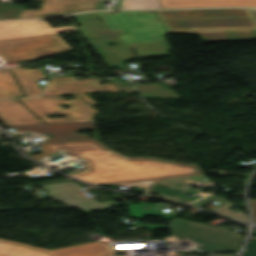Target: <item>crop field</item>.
Listing matches in <instances>:
<instances>
[{
    "mask_svg": "<svg viewBox=\"0 0 256 256\" xmlns=\"http://www.w3.org/2000/svg\"><path fill=\"white\" fill-rule=\"evenodd\" d=\"M40 147L43 153L30 157L38 160L59 150L81 156L87 169L69 176L95 185L202 174L196 164L181 165L151 158L127 159L96 140L41 144Z\"/></svg>",
    "mask_w": 256,
    "mask_h": 256,
    "instance_id": "crop-field-1",
    "label": "crop field"
},
{
    "mask_svg": "<svg viewBox=\"0 0 256 256\" xmlns=\"http://www.w3.org/2000/svg\"><path fill=\"white\" fill-rule=\"evenodd\" d=\"M156 12L169 33L198 34L202 42L256 39V19L251 9L156 10Z\"/></svg>",
    "mask_w": 256,
    "mask_h": 256,
    "instance_id": "crop-field-2",
    "label": "crop field"
},
{
    "mask_svg": "<svg viewBox=\"0 0 256 256\" xmlns=\"http://www.w3.org/2000/svg\"><path fill=\"white\" fill-rule=\"evenodd\" d=\"M79 29L88 39L108 35H125L166 31L155 10L87 12L74 15ZM102 18V21L96 19Z\"/></svg>",
    "mask_w": 256,
    "mask_h": 256,
    "instance_id": "crop-field-3",
    "label": "crop field"
},
{
    "mask_svg": "<svg viewBox=\"0 0 256 256\" xmlns=\"http://www.w3.org/2000/svg\"><path fill=\"white\" fill-rule=\"evenodd\" d=\"M173 236L164 240H189L192 247L207 252H237L243 234L227 229L181 220L177 217L168 222Z\"/></svg>",
    "mask_w": 256,
    "mask_h": 256,
    "instance_id": "crop-field-4",
    "label": "crop field"
},
{
    "mask_svg": "<svg viewBox=\"0 0 256 256\" xmlns=\"http://www.w3.org/2000/svg\"><path fill=\"white\" fill-rule=\"evenodd\" d=\"M166 33L168 32L125 36L114 35L91 39L89 41L95 46L110 66H118L121 70H124L125 68L119 61L136 58L128 47L136 45L139 54L166 52L167 49H169L163 36V34ZM111 41H115L117 45L109 47L107 42Z\"/></svg>",
    "mask_w": 256,
    "mask_h": 256,
    "instance_id": "crop-field-5",
    "label": "crop field"
},
{
    "mask_svg": "<svg viewBox=\"0 0 256 256\" xmlns=\"http://www.w3.org/2000/svg\"><path fill=\"white\" fill-rule=\"evenodd\" d=\"M73 100H65L61 96L32 97L20 99L37 117H43L45 122L92 120L99 114L90 105L96 104L85 94L74 95ZM67 103L70 108H63L59 104ZM45 114L65 115L67 118L48 119Z\"/></svg>",
    "mask_w": 256,
    "mask_h": 256,
    "instance_id": "crop-field-6",
    "label": "crop field"
},
{
    "mask_svg": "<svg viewBox=\"0 0 256 256\" xmlns=\"http://www.w3.org/2000/svg\"><path fill=\"white\" fill-rule=\"evenodd\" d=\"M39 49L58 51L72 48L57 34L0 41V56L7 62L36 58L38 56L33 52Z\"/></svg>",
    "mask_w": 256,
    "mask_h": 256,
    "instance_id": "crop-field-7",
    "label": "crop field"
},
{
    "mask_svg": "<svg viewBox=\"0 0 256 256\" xmlns=\"http://www.w3.org/2000/svg\"><path fill=\"white\" fill-rule=\"evenodd\" d=\"M13 70L26 96L36 95L42 91L38 88L37 79L45 76L41 75L40 69L26 70L23 67L10 68ZM23 93L10 74L8 69H0V98H12L22 96Z\"/></svg>",
    "mask_w": 256,
    "mask_h": 256,
    "instance_id": "crop-field-8",
    "label": "crop field"
},
{
    "mask_svg": "<svg viewBox=\"0 0 256 256\" xmlns=\"http://www.w3.org/2000/svg\"><path fill=\"white\" fill-rule=\"evenodd\" d=\"M7 127L15 128L18 131L25 130L34 131L38 133L50 132L53 135L54 139L44 140L45 143L96 139L89 138L87 136L80 135L77 133V131L95 129L93 121L58 122L34 125H15Z\"/></svg>",
    "mask_w": 256,
    "mask_h": 256,
    "instance_id": "crop-field-9",
    "label": "crop field"
},
{
    "mask_svg": "<svg viewBox=\"0 0 256 256\" xmlns=\"http://www.w3.org/2000/svg\"><path fill=\"white\" fill-rule=\"evenodd\" d=\"M45 186L47 191H49L51 198L62 201L64 203L74 202L81 206L86 212L117 206L112 201H94L93 197L95 196L93 194L88 191H81L80 186L75 184L73 181L49 184Z\"/></svg>",
    "mask_w": 256,
    "mask_h": 256,
    "instance_id": "crop-field-10",
    "label": "crop field"
},
{
    "mask_svg": "<svg viewBox=\"0 0 256 256\" xmlns=\"http://www.w3.org/2000/svg\"><path fill=\"white\" fill-rule=\"evenodd\" d=\"M100 79H74V77H53L43 96L66 95L88 93L108 90L109 92L119 91L112 84L99 85Z\"/></svg>",
    "mask_w": 256,
    "mask_h": 256,
    "instance_id": "crop-field-11",
    "label": "crop field"
},
{
    "mask_svg": "<svg viewBox=\"0 0 256 256\" xmlns=\"http://www.w3.org/2000/svg\"><path fill=\"white\" fill-rule=\"evenodd\" d=\"M76 30L73 25L52 28L43 20L0 22V39L60 33Z\"/></svg>",
    "mask_w": 256,
    "mask_h": 256,
    "instance_id": "crop-field-12",
    "label": "crop field"
},
{
    "mask_svg": "<svg viewBox=\"0 0 256 256\" xmlns=\"http://www.w3.org/2000/svg\"><path fill=\"white\" fill-rule=\"evenodd\" d=\"M0 119L5 125L43 123L17 100L0 101Z\"/></svg>",
    "mask_w": 256,
    "mask_h": 256,
    "instance_id": "crop-field-13",
    "label": "crop field"
},
{
    "mask_svg": "<svg viewBox=\"0 0 256 256\" xmlns=\"http://www.w3.org/2000/svg\"><path fill=\"white\" fill-rule=\"evenodd\" d=\"M112 249V248H111ZM102 241L55 248L49 250L52 256H113L114 252Z\"/></svg>",
    "mask_w": 256,
    "mask_h": 256,
    "instance_id": "crop-field-14",
    "label": "crop field"
},
{
    "mask_svg": "<svg viewBox=\"0 0 256 256\" xmlns=\"http://www.w3.org/2000/svg\"><path fill=\"white\" fill-rule=\"evenodd\" d=\"M161 8L250 6L256 7V0H159Z\"/></svg>",
    "mask_w": 256,
    "mask_h": 256,
    "instance_id": "crop-field-15",
    "label": "crop field"
},
{
    "mask_svg": "<svg viewBox=\"0 0 256 256\" xmlns=\"http://www.w3.org/2000/svg\"><path fill=\"white\" fill-rule=\"evenodd\" d=\"M63 0H44L39 10L22 9L18 18L56 16Z\"/></svg>",
    "mask_w": 256,
    "mask_h": 256,
    "instance_id": "crop-field-16",
    "label": "crop field"
},
{
    "mask_svg": "<svg viewBox=\"0 0 256 256\" xmlns=\"http://www.w3.org/2000/svg\"><path fill=\"white\" fill-rule=\"evenodd\" d=\"M144 98L179 99V96L170 88L165 89L160 84H134Z\"/></svg>",
    "mask_w": 256,
    "mask_h": 256,
    "instance_id": "crop-field-17",
    "label": "crop field"
},
{
    "mask_svg": "<svg viewBox=\"0 0 256 256\" xmlns=\"http://www.w3.org/2000/svg\"><path fill=\"white\" fill-rule=\"evenodd\" d=\"M97 2L98 0H64L57 16L80 11L96 10Z\"/></svg>",
    "mask_w": 256,
    "mask_h": 256,
    "instance_id": "crop-field-18",
    "label": "crop field"
},
{
    "mask_svg": "<svg viewBox=\"0 0 256 256\" xmlns=\"http://www.w3.org/2000/svg\"><path fill=\"white\" fill-rule=\"evenodd\" d=\"M0 256H50L47 253L0 242Z\"/></svg>",
    "mask_w": 256,
    "mask_h": 256,
    "instance_id": "crop-field-19",
    "label": "crop field"
},
{
    "mask_svg": "<svg viewBox=\"0 0 256 256\" xmlns=\"http://www.w3.org/2000/svg\"><path fill=\"white\" fill-rule=\"evenodd\" d=\"M160 8L158 0H126L123 9Z\"/></svg>",
    "mask_w": 256,
    "mask_h": 256,
    "instance_id": "crop-field-20",
    "label": "crop field"
},
{
    "mask_svg": "<svg viewBox=\"0 0 256 256\" xmlns=\"http://www.w3.org/2000/svg\"><path fill=\"white\" fill-rule=\"evenodd\" d=\"M22 7L13 4L0 3V19L17 18Z\"/></svg>",
    "mask_w": 256,
    "mask_h": 256,
    "instance_id": "crop-field-21",
    "label": "crop field"
},
{
    "mask_svg": "<svg viewBox=\"0 0 256 256\" xmlns=\"http://www.w3.org/2000/svg\"><path fill=\"white\" fill-rule=\"evenodd\" d=\"M230 204H231V203H228V204H226V205H224V206H222V207H219V208L213 210V212L220 213V214L225 215V216H228V217H230V218L238 219V220L243 221V222H245V223L249 222L248 216L245 215V214H244L242 211H240L239 209H238V212H239V213H235V212H232V211L228 210L227 207H229Z\"/></svg>",
    "mask_w": 256,
    "mask_h": 256,
    "instance_id": "crop-field-22",
    "label": "crop field"
},
{
    "mask_svg": "<svg viewBox=\"0 0 256 256\" xmlns=\"http://www.w3.org/2000/svg\"><path fill=\"white\" fill-rule=\"evenodd\" d=\"M213 200H215V201L220 203L217 207L222 206V205L228 203V201L226 199H224L223 197H221V196L210 195L208 197H205L203 199L195 201V202H193V203H191L189 205L196 206V207H201V206H204V205L208 204L209 202H211ZM217 207L209 208V210H213V209H215Z\"/></svg>",
    "mask_w": 256,
    "mask_h": 256,
    "instance_id": "crop-field-23",
    "label": "crop field"
},
{
    "mask_svg": "<svg viewBox=\"0 0 256 256\" xmlns=\"http://www.w3.org/2000/svg\"><path fill=\"white\" fill-rule=\"evenodd\" d=\"M243 256H256V239L252 238Z\"/></svg>",
    "mask_w": 256,
    "mask_h": 256,
    "instance_id": "crop-field-24",
    "label": "crop field"
},
{
    "mask_svg": "<svg viewBox=\"0 0 256 256\" xmlns=\"http://www.w3.org/2000/svg\"><path fill=\"white\" fill-rule=\"evenodd\" d=\"M112 84L117 87L121 92L124 93H132V92H136L131 85H127V86H122L116 79L112 80Z\"/></svg>",
    "mask_w": 256,
    "mask_h": 256,
    "instance_id": "crop-field-25",
    "label": "crop field"
},
{
    "mask_svg": "<svg viewBox=\"0 0 256 256\" xmlns=\"http://www.w3.org/2000/svg\"><path fill=\"white\" fill-rule=\"evenodd\" d=\"M0 241L6 242V243H15V244H18V245H21V246H24V247H28V248H32V249H36V250H40V251H44V252L48 251L46 249H41V248H37V247L30 246V245H26V244H22V243H18V242H13V241L5 240V239H0Z\"/></svg>",
    "mask_w": 256,
    "mask_h": 256,
    "instance_id": "crop-field-26",
    "label": "crop field"
},
{
    "mask_svg": "<svg viewBox=\"0 0 256 256\" xmlns=\"http://www.w3.org/2000/svg\"><path fill=\"white\" fill-rule=\"evenodd\" d=\"M249 202L251 204V207H252V210H253V213H254V216H255V224H256V200L255 199H250Z\"/></svg>",
    "mask_w": 256,
    "mask_h": 256,
    "instance_id": "crop-field-27",
    "label": "crop field"
},
{
    "mask_svg": "<svg viewBox=\"0 0 256 256\" xmlns=\"http://www.w3.org/2000/svg\"><path fill=\"white\" fill-rule=\"evenodd\" d=\"M26 134H30V132H25V133H16V134H12V136H13V137L20 136V135L25 136Z\"/></svg>",
    "mask_w": 256,
    "mask_h": 256,
    "instance_id": "crop-field-28",
    "label": "crop field"
},
{
    "mask_svg": "<svg viewBox=\"0 0 256 256\" xmlns=\"http://www.w3.org/2000/svg\"><path fill=\"white\" fill-rule=\"evenodd\" d=\"M215 256H235V255H215Z\"/></svg>",
    "mask_w": 256,
    "mask_h": 256,
    "instance_id": "crop-field-29",
    "label": "crop field"
},
{
    "mask_svg": "<svg viewBox=\"0 0 256 256\" xmlns=\"http://www.w3.org/2000/svg\"><path fill=\"white\" fill-rule=\"evenodd\" d=\"M253 235H255V236H256V229H254V231H253Z\"/></svg>",
    "mask_w": 256,
    "mask_h": 256,
    "instance_id": "crop-field-30",
    "label": "crop field"
}]
</instances>
